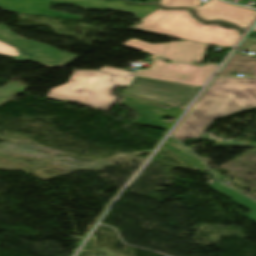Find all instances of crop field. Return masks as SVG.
I'll use <instances>...</instances> for the list:
<instances>
[{
    "mask_svg": "<svg viewBox=\"0 0 256 256\" xmlns=\"http://www.w3.org/2000/svg\"><path fill=\"white\" fill-rule=\"evenodd\" d=\"M256 108V79L215 77L175 132L179 141L198 138L215 118Z\"/></svg>",
    "mask_w": 256,
    "mask_h": 256,
    "instance_id": "1",
    "label": "crop field"
},
{
    "mask_svg": "<svg viewBox=\"0 0 256 256\" xmlns=\"http://www.w3.org/2000/svg\"><path fill=\"white\" fill-rule=\"evenodd\" d=\"M132 29L176 39L232 47L241 37L233 27L218 23H200L187 9L157 11L141 19Z\"/></svg>",
    "mask_w": 256,
    "mask_h": 256,
    "instance_id": "2",
    "label": "crop field"
},
{
    "mask_svg": "<svg viewBox=\"0 0 256 256\" xmlns=\"http://www.w3.org/2000/svg\"><path fill=\"white\" fill-rule=\"evenodd\" d=\"M136 73L104 67L98 71L74 70L68 83L50 90L48 98L69 100L108 111L116 101L110 96L117 86H128Z\"/></svg>",
    "mask_w": 256,
    "mask_h": 256,
    "instance_id": "3",
    "label": "crop field"
},
{
    "mask_svg": "<svg viewBox=\"0 0 256 256\" xmlns=\"http://www.w3.org/2000/svg\"><path fill=\"white\" fill-rule=\"evenodd\" d=\"M217 66L199 67L179 63L167 64L157 59L152 62L150 69L138 70L137 76L202 87Z\"/></svg>",
    "mask_w": 256,
    "mask_h": 256,
    "instance_id": "4",
    "label": "crop field"
},
{
    "mask_svg": "<svg viewBox=\"0 0 256 256\" xmlns=\"http://www.w3.org/2000/svg\"><path fill=\"white\" fill-rule=\"evenodd\" d=\"M122 45L155 55L150 59L160 56L173 61L187 63H200L202 61L203 54L207 46L205 44H199L188 41L151 45L136 39H130Z\"/></svg>",
    "mask_w": 256,
    "mask_h": 256,
    "instance_id": "5",
    "label": "crop field"
},
{
    "mask_svg": "<svg viewBox=\"0 0 256 256\" xmlns=\"http://www.w3.org/2000/svg\"><path fill=\"white\" fill-rule=\"evenodd\" d=\"M199 89L195 90L177 85L134 77L125 91L156 98L171 105L182 107L187 101L193 99Z\"/></svg>",
    "mask_w": 256,
    "mask_h": 256,
    "instance_id": "6",
    "label": "crop field"
},
{
    "mask_svg": "<svg viewBox=\"0 0 256 256\" xmlns=\"http://www.w3.org/2000/svg\"><path fill=\"white\" fill-rule=\"evenodd\" d=\"M202 21H218L235 26L245 32L256 18V11L229 5L219 0H211L206 4L190 8Z\"/></svg>",
    "mask_w": 256,
    "mask_h": 256,
    "instance_id": "7",
    "label": "crop field"
},
{
    "mask_svg": "<svg viewBox=\"0 0 256 256\" xmlns=\"http://www.w3.org/2000/svg\"><path fill=\"white\" fill-rule=\"evenodd\" d=\"M0 40L22 48L29 54L32 61L47 67L61 66L78 57L77 55L63 53L41 43L20 38L8 27L1 24Z\"/></svg>",
    "mask_w": 256,
    "mask_h": 256,
    "instance_id": "8",
    "label": "crop field"
},
{
    "mask_svg": "<svg viewBox=\"0 0 256 256\" xmlns=\"http://www.w3.org/2000/svg\"><path fill=\"white\" fill-rule=\"evenodd\" d=\"M119 105L126 106L137 116L133 123L152 126L164 130H169L183 112L182 110L174 107H171L169 110H165L161 107L151 106L125 99H122ZM143 111H149L153 114H146L143 113ZM164 117H171L175 119L171 123L160 121ZM145 121L153 122V124L146 123Z\"/></svg>",
    "mask_w": 256,
    "mask_h": 256,
    "instance_id": "9",
    "label": "crop field"
},
{
    "mask_svg": "<svg viewBox=\"0 0 256 256\" xmlns=\"http://www.w3.org/2000/svg\"><path fill=\"white\" fill-rule=\"evenodd\" d=\"M56 4H69L87 9H110L130 13L141 19L157 10L156 4L146 6H128L120 0H55Z\"/></svg>",
    "mask_w": 256,
    "mask_h": 256,
    "instance_id": "10",
    "label": "crop field"
},
{
    "mask_svg": "<svg viewBox=\"0 0 256 256\" xmlns=\"http://www.w3.org/2000/svg\"><path fill=\"white\" fill-rule=\"evenodd\" d=\"M51 3L53 0H0V8L14 13L81 19L80 16L50 11Z\"/></svg>",
    "mask_w": 256,
    "mask_h": 256,
    "instance_id": "11",
    "label": "crop field"
},
{
    "mask_svg": "<svg viewBox=\"0 0 256 256\" xmlns=\"http://www.w3.org/2000/svg\"><path fill=\"white\" fill-rule=\"evenodd\" d=\"M236 68H238V70H236ZM255 70H256L255 58L234 53L217 75L233 76V75H229L230 72L252 73Z\"/></svg>",
    "mask_w": 256,
    "mask_h": 256,
    "instance_id": "12",
    "label": "crop field"
},
{
    "mask_svg": "<svg viewBox=\"0 0 256 256\" xmlns=\"http://www.w3.org/2000/svg\"><path fill=\"white\" fill-rule=\"evenodd\" d=\"M212 189L232 198V202L250 210L251 212L247 215L246 218L256 222V201L250 200L232 190H230L229 188L216 183L214 185L210 186Z\"/></svg>",
    "mask_w": 256,
    "mask_h": 256,
    "instance_id": "13",
    "label": "crop field"
},
{
    "mask_svg": "<svg viewBox=\"0 0 256 256\" xmlns=\"http://www.w3.org/2000/svg\"><path fill=\"white\" fill-rule=\"evenodd\" d=\"M18 50L19 49H16V48L0 41V56L10 57V58L14 59L15 61L23 62V57L17 53ZM19 51L23 55H25L24 52H22L21 50H19ZM25 57L28 60L26 55H25Z\"/></svg>",
    "mask_w": 256,
    "mask_h": 256,
    "instance_id": "14",
    "label": "crop field"
},
{
    "mask_svg": "<svg viewBox=\"0 0 256 256\" xmlns=\"http://www.w3.org/2000/svg\"><path fill=\"white\" fill-rule=\"evenodd\" d=\"M201 0H161L160 5L164 8L170 7H195L200 5Z\"/></svg>",
    "mask_w": 256,
    "mask_h": 256,
    "instance_id": "15",
    "label": "crop field"
},
{
    "mask_svg": "<svg viewBox=\"0 0 256 256\" xmlns=\"http://www.w3.org/2000/svg\"><path fill=\"white\" fill-rule=\"evenodd\" d=\"M125 1H127L129 3H139L140 0H125Z\"/></svg>",
    "mask_w": 256,
    "mask_h": 256,
    "instance_id": "16",
    "label": "crop field"
},
{
    "mask_svg": "<svg viewBox=\"0 0 256 256\" xmlns=\"http://www.w3.org/2000/svg\"><path fill=\"white\" fill-rule=\"evenodd\" d=\"M249 35H254V36H256V33H255V32H251Z\"/></svg>",
    "mask_w": 256,
    "mask_h": 256,
    "instance_id": "17",
    "label": "crop field"
},
{
    "mask_svg": "<svg viewBox=\"0 0 256 256\" xmlns=\"http://www.w3.org/2000/svg\"><path fill=\"white\" fill-rule=\"evenodd\" d=\"M172 84H173V83H172ZM177 85H179V84H177ZM181 86H184V85H181ZM186 87H190V86H186ZM190 88L198 89V88H196V87H190Z\"/></svg>",
    "mask_w": 256,
    "mask_h": 256,
    "instance_id": "18",
    "label": "crop field"
},
{
    "mask_svg": "<svg viewBox=\"0 0 256 256\" xmlns=\"http://www.w3.org/2000/svg\"><path fill=\"white\" fill-rule=\"evenodd\" d=\"M156 100V99H155ZM189 102H187L183 107H186L188 105Z\"/></svg>",
    "mask_w": 256,
    "mask_h": 256,
    "instance_id": "19",
    "label": "crop field"
},
{
    "mask_svg": "<svg viewBox=\"0 0 256 256\" xmlns=\"http://www.w3.org/2000/svg\"><path fill=\"white\" fill-rule=\"evenodd\" d=\"M252 76H255L256 77V71L254 72V74Z\"/></svg>",
    "mask_w": 256,
    "mask_h": 256,
    "instance_id": "20",
    "label": "crop field"
},
{
    "mask_svg": "<svg viewBox=\"0 0 256 256\" xmlns=\"http://www.w3.org/2000/svg\"><path fill=\"white\" fill-rule=\"evenodd\" d=\"M253 29H254V28H253ZM253 31H255V32H256V27H255V29H254Z\"/></svg>",
    "mask_w": 256,
    "mask_h": 256,
    "instance_id": "21",
    "label": "crop field"
}]
</instances>
